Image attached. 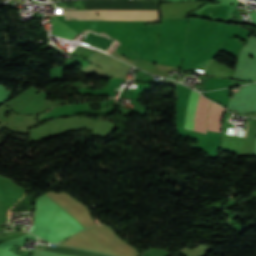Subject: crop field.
Returning a JSON list of instances; mask_svg holds the SVG:
<instances>
[{
    "label": "crop field",
    "mask_w": 256,
    "mask_h": 256,
    "mask_svg": "<svg viewBox=\"0 0 256 256\" xmlns=\"http://www.w3.org/2000/svg\"><path fill=\"white\" fill-rule=\"evenodd\" d=\"M63 10H76V8ZM62 15H65V19L160 21L159 11L146 10L63 11Z\"/></svg>",
    "instance_id": "crop-field-1"
},
{
    "label": "crop field",
    "mask_w": 256,
    "mask_h": 256,
    "mask_svg": "<svg viewBox=\"0 0 256 256\" xmlns=\"http://www.w3.org/2000/svg\"><path fill=\"white\" fill-rule=\"evenodd\" d=\"M225 109L221 108L215 103H211L209 112H208V130L215 131L221 133L222 127V116L224 114Z\"/></svg>",
    "instance_id": "crop-field-3"
},
{
    "label": "crop field",
    "mask_w": 256,
    "mask_h": 256,
    "mask_svg": "<svg viewBox=\"0 0 256 256\" xmlns=\"http://www.w3.org/2000/svg\"><path fill=\"white\" fill-rule=\"evenodd\" d=\"M198 96L199 94L197 92L191 89L189 90L181 127L192 130ZM208 102L209 100L204 98L202 95L199 96L194 128H193V130L195 131L205 133V114H206Z\"/></svg>",
    "instance_id": "crop-field-2"
}]
</instances>
